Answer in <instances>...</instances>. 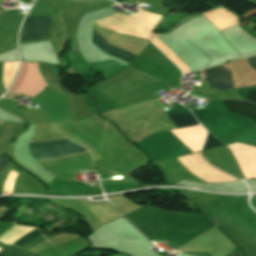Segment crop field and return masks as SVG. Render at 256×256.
<instances>
[{"mask_svg": "<svg viewBox=\"0 0 256 256\" xmlns=\"http://www.w3.org/2000/svg\"><path fill=\"white\" fill-rule=\"evenodd\" d=\"M46 86L48 85L43 81L37 63L21 62L19 77L10 91L33 97Z\"/></svg>", "mask_w": 256, "mask_h": 256, "instance_id": "obj_1", "label": "crop field"}, {"mask_svg": "<svg viewBox=\"0 0 256 256\" xmlns=\"http://www.w3.org/2000/svg\"><path fill=\"white\" fill-rule=\"evenodd\" d=\"M36 161L89 153L71 141L29 146Z\"/></svg>", "mask_w": 256, "mask_h": 256, "instance_id": "obj_2", "label": "crop field"}, {"mask_svg": "<svg viewBox=\"0 0 256 256\" xmlns=\"http://www.w3.org/2000/svg\"><path fill=\"white\" fill-rule=\"evenodd\" d=\"M51 26L49 17L27 16L19 42L49 38Z\"/></svg>", "mask_w": 256, "mask_h": 256, "instance_id": "obj_3", "label": "crop field"}, {"mask_svg": "<svg viewBox=\"0 0 256 256\" xmlns=\"http://www.w3.org/2000/svg\"><path fill=\"white\" fill-rule=\"evenodd\" d=\"M204 71L210 85L220 90L233 88L231 71L221 66L206 69Z\"/></svg>", "mask_w": 256, "mask_h": 256, "instance_id": "obj_4", "label": "crop field"}, {"mask_svg": "<svg viewBox=\"0 0 256 256\" xmlns=\"http://www.w3.org/2000/svg\"><path fill=\"white\" fill-rule=\"evenodd\" d=\"M93 43L98 46L102 51L105 53L124 60L126 62H130L134 59L135 55L130 54L128 52H125L123 50L115 49L111 46L109 42H107L103 37H101L96 30L94 29V35H93Z\"/></svg>", "mask_w": 256, "mask_h": 256, "instance_id": "obj_5", "label": "crop field"}, {"mask_svg": "<svg viewBox=\"0 0 256 256\" xmlns=\"http://www.w3.org/2000/svg\"><path fill=\"white\" fill-rule=\"evenodd\" d=\"M228 112L247 116L256 120V104L246 103L238 100H223Z\"/></svg>", "mask_w": 256, "mask_h": 256, "instance_id": "obj_6", "label": "crop field"}, {"mask_svg": "<svg viewBox=\"0 0 256 256\" xmlns=\"http://www.w3.org/2000/svg\"><path fill=\"white\" fill-rule=\"evenodd\" d=\"M170 118L173 120L176 128L187 127L196 125L198 122L191 113L172 115Z\"/></svg>", "mask_w": 256, "mask_h": 256, "instance_id": "obj_7", "label": "crop field"}, {"mask_svg": "<svg viewBox=\"0 0 256 256\" xmlns=\"http://www.w3.org/2000/svg\"><path fill=\"white\" fill-rule=\"evenodd\" d=\"M33 253L26 251L22 248L16 247L14 245L6 246L0 251V256H31Z\"/></svg>", "mask_w": 256, "mask_h": 256, "instance_id": "obj_8", "label": "crop field"}, {"mask_svg": "<svg viewBox=\"0 0 256 256\" xmlns=\"http://www.w3.org/2000/svg\"><path fill=\"white\" fill-rule=\"evenodd\" d=\"M40 234L39 229H35L33 230L31 233L21 237L20 239H18L14 245H17L19 247L23 246L24 244H26L27 242H29L30 240L36 238L38 235Z\"/></svg>", "mask_w": 256, "mask_h": 256, "instance_id": "obj_9", "label": "crop field"}, {"mask_svg": "<svg viewBox=\"0 0 256 256\" xmlns=\"http://www.w3.org/2000/svg\"><path fill=\"white\" fill-rule=\"evenodd\" d=\"M221 145H223V144L220 143L213 135L208 133V137H207V140L204 145V150L213 148V147H217V146H221Z\"/></svg>", "mask_w": 256, "mask_h": 256, "instance_id": "obj_10", "label": "crop field"}, {"mask_svg": "<svg viewBox=\"0 0 256 256\" xmlns=\"http://www.w3.org/2000/svg\"><path fill=\"white\" fill-rule=\"evenodd\" d=\"M247 63L256 71V57L248 58Z\"/></svg>", "mask_w": 256, "mask_h": 256, "instance_id": "obj_11", "label": "crop field"}, {"mask_svg": "<svg viewBox=\"0 0 256 256\" xmlns=\"http://www.w3.org/2000/svg\"><path fill=\"white\" fill-rule=\"evenodd\" d=\"M247 100L256 102V91H249Z\"/></svg>", "mask_w": 256, "mask_h": 256, "instance_id": "obj_12", "label": "crop field"}, {"mask_svg": "<svg viewBox=\"0 0 256 256\" xmlns=\"http://www.w3.org/2000/svg\"><path fill=\"white\" fill-rule=\"evenodd\" d=\"M10 160L0 157V169L4 167Z\"/></svg>", "mask_w": 256, "mask_h": 256, "instance_id": "obj_13", "label": "crop field"}, {"mask_svg": "<svg viewBox=\"0 0 256 256\" xmlns=\"http://www.w3.org/2000/svg\"><path fill=\"white\" fill-rule=\"evenodd\" d=\"M3 124H4V122L0 121V130H1L2 126H3Z\"/></svg>", "mask_w": 256, "mask_h": 256, "instance_id": "obj_14", "label": "crop field"}, {"mask_svg": "<svg viewBox=\"0 0 256 256\" xmlns=\"http://www.w3.org/2000/svg\"><path fill=\"white\" fill-rule=\"evenodd\" d=\"M116 1H119V0H116Z\"/></svg>", "mask_w": 256, "mask_h": 256, "instance_id": "obj_15", "label": "crop field"}, {"mask_svg": "<svg viewBox=\"0 0 256 256\" xmlns=\"http://www.w3.org/2000/svg\"><path fill=\"white\" fill-rule=\"evenodd\" d=\"M163 34V33H162ZM158 35V34H157ZM159 36V35H158Z\"/></svg>", "mask_w": 256, "mask_h": 256, "instance_id": "obj_16", "label": "crop field"}, {"mask_svg": "<svg viewBox=\"0 0 256 256\" xmlns=\"http://www.w3.org/2000/svg\"><path fill=\"white\" fill-rule=\"evenodd\" d=\"M34 256H36V255H34Z\"/></svg>", "mask_w": 256, "mask_h": 256, "instance_id": "obj_17", "label": "crop field"}]
</instances>
